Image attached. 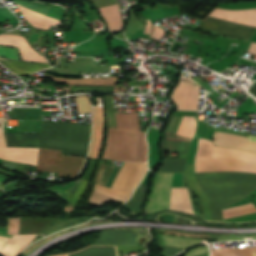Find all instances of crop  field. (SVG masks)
I'll return each instance as SVG.
<instances>
[{"label": "crop field", "instance_id": "eef30255", "mask_svg": "<svg viewBox=\"0 0 256 256\" xmlns=\"http://www.w3.org/2000/svg\"><path fill=\"white\" fill-rule=\"evenodd\" d=\"M161 236L163 238L164 245H168V246L188 248L193 245L201 243L198 240L181 239V238L169 237V236H164V235H161Z\"/></svg>", "mask_w": 256, "mask_h": 256}, {"label": "crop field", "instance_id": "ac0d7876", "mask_svg": "<svg viewBox=\"0 0 256 256\" xmlns=\"http://www.w3.org/2000/svg\"><path fill=\"white\" fill-rule=\"evenodd\" d=\"M118 129L108 128L107 146L102 158L146 161L145 133L140 132L137 112L116 113Z\"/></svg>", "mask_w": 256, "mask_h": 256}, {"label": "crop field", "instance_id": "3316defc", "mask_svg": "<svg viewBox=\"0 0 256 256\" xmlns=\"http://www.w3.org/2000/svg\"><path fill=\"white\" fill-rule=\"evenodd\" d=\"M200 89L199 86L180 82L171 95L177 109L197 110Z\"/></svg>", "mask_w": 256, "mask_h": 256}, {"label": "crop field", "instance_id": "ae1a2a85", "mask_svg": "<svg viewBox=\"0 0 256 256\" xmlns=\"http://www.w3.org/2000/svg\"><path fill=\"white\" fill-rule=\"evenodd\" d=\"M113 168H114V166H112L110 164H105V161H102L99 166V170H98V174H97L95 183L102 184L105 186Z\"/></svg>", "mask_w": 256, "mask_h": 256}, {"label": "crop field", "instance_id": "d9b57169", "mask_svg": "<svg viewBox=\"0 0 256 256\" xmlns=\"http://www.w3.org/2000/svg\"><path fill=\"white\" fill-rule=\"evenodd\" d=\"M52 218L21 217L18 234L42 233Z\"/></svg>", "mask_w": 256, "mask_h": 256}, {"label": "crop field", "instance_id": "b80d0937", "mask_svg": "<svg viewBox=\"0 0 256 256\" xmlns=\"http://www.w3.org/2000/svg\"><path fill=\"white\" fill-rule=\"evenodd\" d=\"M0 181L6 182L5 180H3V179H1V178H0ZM2 182H0V187L4 184V183H2Z\"/></svg>", "mask_w": 256, "mask_h": 256}, {"label": "crop field", "instance_id": "5a996713", "mask_svg": "<svg viewBox=\"0 0 256 256\" xmlns=\"http://www.w3.org/2000/svg\"><path fill=\"white\" fill-rule=\"evenodd\" d=\"M4 118H0V158L37 165L39 148H6L3 136Z\"/></svg>", "mask_w": 256, "mask_h": 256}, {"label": "crop field", "instance_id": "4177f3b9", "mask_svg": "<svg viewBox=\"0 0 256 256\" xmlns=\"http://www.w3.org/2000/svg\"><path fill=\"white\" fill-rule=\"evenodd\" d=\"M256 248H227L211 251V256H252Z\"/></svg>", "mask_w": 256, "mask_h": 256}, {"label": "crop field", "instance_id": "d3111659", "mask_svg": "<svg viewBox=\"0 0 256 256\" xmlns=\"http://www.w3.org/2000/svg\"><path fill=\"white\" fill-rule=\"evenodd\" d=\"M77 113H91V106L87 96L76 97Z\"/></svg>", "mask_w": 256, "mask_h": 256}, {"label": "crop field", "instance_id": "dafd665d", "mask_svg": "<svg viewBox=\"0 0 256 256\" xmlns=\"http://www.w3.org/2000/svg\"><path fill=\"white\" fill-rule=\"evenodd\" d=\"M147 182L148 181H142L140 183V185L136 188L133 196L124 204V206L139 214L141 213L140 209L143 204L144 195L147 191Z\"/></svg>", "mask_w": 256, "mask_h": 256}, {"label": "crop field", "instance_id": "8a807250", "mask_svg": "<svg viewBox=\"0 0 256 256\" xmlns=\"http://www.w3.org/2000/svg\"><path fill=\"white\" fill-rule=\"evenodd\" d=\"M196 178L210 202L212 220L223 221L221 208L246 197L256 189V174L196 173Z\"/></svg>", "mask_w": 256, "mask_h": 256}, {"label": "crop field", "instance_id": "733c2abd", "mask_svg": "<svg viewBox=\"0 0 256 256\" xmlns=\"http://www.w3.org/2000/svg\"><path fill=\"white\" fill-rule=\"evenodd\" d=\"M21 13L24 15L26 20L30 22L32 25L38 28L48 30L50 25L60 26L61 21L57 19H53L39 13L33 12L27 8H24L18 4H16Z\"/></svg>", "mask_w": 256, "mask_h": 256}, {"label": "crop field", "instance_id": "d8731c3e", "mask_svg": "<svg viewBox=\"0 0 256 256\" xmlns=\"http://www.w3.org/2000/svg\"><path fill=\"white\" fill-rule=\"evenodd\" d=\"M173 174L158 173L153 179L152 191L145 209L146 214L168 209Z\"/></svg>", "mask_w": 256, "mask_h": 256}, {"label": "crop field", "instance_id": "a9b5d70f", "mask_svg": "<svg viewBox=\"0 0 256 256\" xmlns=\"http://www.w3.org/2000/svg\"><path fill=\"white\" fill-rule=\"evenodd\" d=\"M87 184H88V182L84 181V180L81 185L74 183L60 195H62L64 198H66L72 204L76 205L79 197L84 192Z\"/></svg>", "mask_w": 256, "mask_h": 256}, {"label": "crop field", "instance_id": "d32e631a", "mask_svg": "<svg viewBox=\"0 0 256 256\" xmlns=\"http://www.w3.org/2000/svg\"><path fill=\"white\" fill-rule=\"evenodd\" d=\"M163 33H164L163 29L154 25V31L151 34V37L159 40L162 37Z\"/></svg>", "mask_w": 256, "mask_h": 256}, {"label": "crop field", "instance_id": "e52e79f7", "mask_svg": "<svg viewBox=\"0 0 256 256\" xmlns=\"http://www.w3.org/2000/svg\"><path fill=\"white\" fill-rule=\"evenodd\" d=\"M85 158L61 156L60 151L40 149L36 171L59 172L58 176L74 177Z\"/></svg>", "mask_w": 256, "mask_h": 256}, {"label": "crop field", "instance_id": "22f410ed", "mask_svg": "<svg viewBox=\"0 0 256 256\" xmlns=\"http://www.w3.org/2000/svg\"><path fill=\"white\" fill-rule=\"evenodd\" d=\"M7 146L41 147V133H5Z\"/></svg>", "mask_w": 256, "mask_h": 256}, {"label": "crop field", "instance_id": "5866460e", "mask_svg": "<svg viewBox=\"0 0 256 256\" xmlns=\"http://www.w3.org/2000/svg\"><path fill=\"white\" fill-rule=\"evenodd\" d=\"M148 23L145 24V30H144V33L145 34H149L152 27H151V22L149 21V19L146 20Z\"/></svg>", "mask_w": 256, "mask_h": 256}, {"label": "crop field", "instance_id": "28ad6ade", "mask_svg": "<svg viewBox=\"0 0 256 256\" xmlns=\"http://www.w3.org/2000/svg\"><path fill=\"white\" fill-rule=\"evenodd\" d=\"M0 44L12 45L19 47L22 58L25 60L37 61V62H47L45 56H42L35 52L27 43V41L15 35H1Z\"/></svg>", "mask_w": 256, "mask_h": 256}, {"label": "crop field", "instance_id": "5142ce71", "mask_svg": "<svg viewBox=\"0 0 256 256\" xmlns=\"http://www.w3.org/2000/svg\"><path fill=\"white\" fill-rule=\"evenodd\" d=\"M169 209L194 215L191 199L186 188H172Z\"/></svg>", "mask_w": 256, "mask_h": 256}, {"label": "crop field", "instance_id": "34b2d1b8", "mask_svg": "<svg viewBox=\"0 0 256 256\" xmlns=\"http://www.w3.org/2000/svg\"><path fill=\"white\" fill-rule=\"evenodd\" d=\"M212 151L213 145L211 142L204 139H199L196 161H195V172H211L212 165ZM213 156L235 158L249 161H256V153L221 148L214 146ZM213 157V171H241L256 173V162H248L235 159L217 158Z\"/></svg>", "mask_w": 256, "mask_h": 256}, {"label": "crop field", "instance_id": "f4fd0767", "mask_svg": "<svg viewBox=\"0 0 256 256\" xmlns=\"http://www.w3.org/2000/svg\"><path fill=\"white\" fill-rule=\"evenodd\" d=\"M209 16L256 28V9L230 11L216 8ZM210 17L205 18L200 27L218 31L223 36L249 40L256 31L255 28Z\"/></svg>", "mask_w": 256, "mask_h": 256}, {"label": "crop field", "instance_id": "cbeb9de0", "mask_svg": "<svg viewBox=\"0 0 256 256\" xmlns=\"http://www.w3.org/2000/svg\"><path fill=\"white\" fill-rule=\"evenodd\" d=\"M103 110L102 107H94V122L91 148L88 157L97 158L102 142Z\"/></svg>", "mask_w": 256, "mask_h": 256}, {"label": "crop field", "instance_id": "00972430", "mask_svg": "<svg viewBox=\"0 0 256 256\" xmlns=\"http://www.w3.org/2000/svg\"><path fill=\"white\" fill-rule=\"evenodd\" d=\"M191 142L165 139L164 151H179V157L188 158V147Z\"/></svg>", "mask_w": 256, "mask_h": 256}, {"label": "crop field", "instance_id": "c21b1889", "mask_svg": "<svg viewBox=\"0 0 256 256\" xmlns=\"http://www.w3.org/2000/svg\"><path fill=\"white\" fill-rule=\"evenodd\" d=\"M200 256H209V253L208 254H204V255H200Z\"/></svg>", "mask_w": 256, "mask_h": 256}, {"label": "crop field", "instance_id": "bc2a9ffb", "mask_svg": "<svg viewBox=\"0 0 256 256\" xmlns=\"http://www.w3.org/2000/svg\"><path fill=\"white\" fill-rule=\"evenodd\" d=\"M35 235H14V237L0 251L3 256H16Z\"/></svg>", "mask_w": 256, "mask_h": 256}, {"label": "crop field", "instance_id": "bd1437ed", "mask_svg": "<svg viewBox=\"0 0 256 256\" xmlns=\"http://www.w3.org/2000/svg\"><path fill=\"white\" fill-rule=\"evenodd\" d=\"M90 201H94V202H97V203H105L106 201H117L115 199H112L106 195H103L101 193H98V192H93L91 197H90ZM120 202V201H119Z\"/></svg>", "mask_w": 256, "mask_h": 256}, {"label": "crop field", "instance_id": "dd49c442", "mask_svg": "<svg viewBox=\"0 0 256 256\" xmlns=\"http://www.w3.org/2000/svg\"><path fill=\"white\" fill-rule=\"evenodd\" d=\"M136 163H130V162H124L112 187L114 189H120L123 190L129 176L131 175ZM147 169L146 163H137L131 177L129 178L124 190L131 191L134 189V187L139 183L141 180L144 172ZM109 189L106 187H102L95 184V190L100 191L102 193H105L107 195H110L112 197H115L117 199H120L122 201H126L128 197H130L131 193L126 191H120V190H114Z\"/></svg>", "mask_w": 256, "mask_h": 256}, {"label": "crop field", "instance_id": "92a150f3", "mask_svg": "<svg viewBox=\"0 0 256 256\" xmlns=\"http://www.w3.org/2000/svg\"><path fill=\"white\" fill-rule=\"evenodd\" d=\"M5 66H7L11 71L15 74L22 76H29L31 72L42 69L44 67H49V65L42 64H30V63H22V62H8V61H0Z\"/></svg>", "mask_w": 256, "mask_h": 256}, {"label": "crop field", "instance_id": "412701ff", "mask_svg": "<svg viewBox=\"0 0 256 256\" xmlns=\"http://www.w3.org/2000/svg\"><path fill=\"white\" fill-rule=\"evenodd\" d=\"M90 126L45 121L42 130V148L61 150L62 154L85 156Z\"/></svg>", "mask_w": 256, "mask_h": 256}, {"label": "crop field", "instance_id": "c035e120", "mask_svg": "<svg viewBox=\"0 0 256 256\" xmlns=\"http://www.w3.org/2000/svg\"><path fill=\"white\" fill-rule=\"evenodd\" d=\"M166 138H170V137H166ZM170 139H178V138H170ZM178 140H187V139H178ZM190 141V140H187Z\"/></svg>", "mask_w": 256, "mask_h": 256}, {"label": "crop field", "instance_id": "028f5c9d", "mask_svg": "<svg viewBox=\"0 0 256 256\" xmlns=\"http://www.w3.org/2000/svg\"><path fill=\"white\" fill-rule=\"evenodd\" d=\"M249 53L256 54V43H252L250 49L248 50Z\"/></svg>", "mask_w": 256, "mask_h": 256}, {"label": "crop field", "instance_id": "e1f06a70", "mask_svg": "<svg viewBox=\"0 0 256 256\" xmlns=\"http://www.w3.org/2000/svg\"><path fill=\"white\" fill-rule=\"evenodd\" d=\"M8 240L6 237H0V248L5 244V242Z\"/></svg>", "mask_w": 256, "mask_h": 256}, {"label": "crop field", "instance_id": "120bbe31", "mask_svg": "<svg viewBox=\"0 0 256 256\" xmlns=\"http://www.w3.org/2000/svg\"><path fill=\"white\" fill-rule=\"evenodd\" d=\"M207 252H209V251H208L207 246H205V247H200L197 249L190 250L186 253L185 256H195V255H199V254H203V253H207Z\"/></svg>", "mask_w": 256, "mask_h": 256}, {"label": "crop field", "instance_id": "1d83c4d3", "mask_svg": "<svg viewBox=\"0 0 256 256\" xmlns=\"http://www.w3.org/2000/svg\"><path fill=\"white\" fill-rule=\"evenodd\" d=\"M0 55L18 60L16 49L0 47Z\"/></svg>", "mask_w": 256, "mask_h": 256}, {"label": "crop field", "instance_id": "730fd06b", "mask_svg": "<svg viewBox=\"0 0 256 256\" xmlns=\"http://www.w3.org/2000/svg\"><path fill=\"white\" fill-rule=\"evenodd\" d=\"M196 125L197 121L195 117H184L177 134L193 138Z\"/></svg>", "mask_w": 256, "mask_h": 256}, {"label": "crop field", "instance_id": "750c4746", "mask_svg": "<svg viewBox=\"0 0 256 256\" xmlns=\"http://www.w3.org/2000/svg\"><path fill=\"white\" fill-rule=\"evenodd\" d=\"M75 91H113V86H71L69 92Z\"/></svg>", "mask_w": 256, "mask_h": 256}, {"label": "crop field", "instance_id": "d1516ede", "mask_svg": "<svg viewBox=\"0 0 256 256\" xmlns=\"http://www.w3.org/2000/svg\"><path fill=\"white\" fill-rule=\"evenodd\" d=\"M247 139L246 137L216 132L213 142L215 145L256 151V142H250Z\"/></svg>", "mask_w": 256, "mask_h": 256}, {"label": "crop field", "instance_id": "214f88e0", "mask_svg": "<svg viewBox=\"0 0 256 256\" xmlns=\"http://www.w3.org/2000/svg\"><path fill=\"white\" fill-rule=\"evenodd\" d=\"M250 203H251L250 201H248L246 198H244L243 200H241L231 206H227L223 209L236 207V206H240V205H245V204H250ZM222 212H223L224 219H226V218H231V217H236V216H241V215L256 212V208L254 207L253 204H250V205L240 206V207H236V208L226 209V210H223Z\"/></svg>", "mask_w": 256, "mask_h": 256}, {"label": "crop field", "instance_id": "0bd39190", "mask_svg": "<svg viewBox=\"0 0 256 256\" xmlns=\"http://www.w3.org/2000/svg\"><path fill=\"white\" fill-rule=\"evenodd\" d=\"M248 140H250V141H256V136L250 135Z\"/></svg>", "mask_w": 256, "mask_h": 256}, {"label": "crop field", "instance_id": "4a817a6b", "mask_svg": "<svg viewBox=\"0 0 256 256\" xmlns=\"http://www.w3.org/2000/svg\"><path fill=\"white\" fill-rule=\"evenodd\" d=\"M98 10L101 11V17L112 33L122 30L123 25L119 14V4L98 8Z\"/></svg>", "mask_w": 256, "mask_h": 256}]
</instances>
